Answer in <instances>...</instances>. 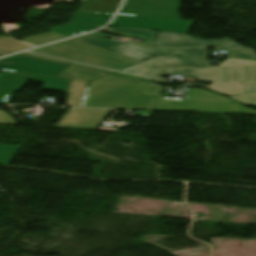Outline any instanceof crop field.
<instances>
[{
    "mask_svg": "<svg viewBox=\"0 0 256 256\" xmlns=\"http://www.w3.org/2000/svg\"><path fill=\"white\" fill-rule=\"evenodd\" d=\"M145 82L106 76L89 84L82 107L151 110L158 97L138 95Z\"/></svg>",
    "mask_w": 256,
    "mask_h": 256,
    "instance_id": "8a807250",
    "label": "crop field"
},
{
    "mask_svg": "<svg viewBox=\"0 0 256 256\" xmlns=\"http://www.w3.org/2000/svg\"><path fill=\"white\" fill-rule=\"evenodd\" d=\"M31 52L115 70L140 62L74 39Z\"/></svg>",
    "mask_w": 256,
    "mask_h": 256,
    "instance_id": "ac0d7876",
    "label": "crop field"
},
{
    "mask_svg": "<svg viewBox=\"0 0 256 256\" xmlns=\"http://www.w3.org/2000/svg\"><path fill=\"white\" fill-rule=\"evenodd\" d=\"M153 110L256 114L227 97L194 88L186 100L159 97Z\"/></svg>",
    "mask_w": 256,
    "mask_h": 256,
    "instance_id": "34b2d1b8",
    "label": "crop field"
},
{
    "mask_svg": "<svg viewBox=\"0 0 256 256\" xmlns=\"http://www.w3.org/2000/svg\"><path fill=\"white\" fill-rule=\"evenodd\" d=\"M220 46L227 49L225 58L256 60L253 50L240 46L228 38L201 40L182 33L157 31L155 47Z\"/></svg>",
    "mask_w": 256,
    "mask_h": 256,
    "instance_id": "412701ff",
    "label": "crop field"
},
{
    "mask_svg": "<svg viewBox=\"0 0 256 256\" xmlns=\"http://www.w3.org/2000/svg\"><path fill=\"white\" fill-rule=\"evenodd\" d=\"M28 80L44 82L42 89L64 92H68L71 81V79L2 71L0 74V103H9L14 92H20Z\"/></svg>",
    "mask_w": 256,
    "mask_h": 256,
    "instance_id": "f4fd0767",
    "label": "crop field"
},
{
    "mask_svg": "<svg viewBox=\"0 0 256 256\" xmlns=\"http://www.w3.org/2000/svg\"><path fill=\"white\" fill-rule=\"evenodd\" d=\"M193 21L118 14L111 26L188 33Z\"/></svg>",
    "mask_w": 256,
    "mask_h": 256,
    "instance_id": "dd49c442",
    "label": "crop field"
},
{
    "mask_svg": "<svg viewBox=\"0 0 256 256\" xmlns=\"http://www.w3.org/2000/svg\"><path fill=\"white\" fill-rule=\"evenodd\" d=\"M68 66L25 56L0 60V70L58 77Z\"/></svg>",
    "mask_w": 256,
    "mask_h": 256,
    "instance_id": "e52e79f7",
    "label": "crop field"
},
{
    "mask_svg": "<svg viewBox=\"0 0 256 256\" xmlns=\"http://www.w3.org/2000/svg\"><path fill=\"white\" fill-rule=\"evenodd\" d=\"M181 0H127L120 13L181 19Z\"/></svg>",
    "mask_w": 256,
    "mask_h": 256,
    "instance_id": "d8731c3e",
    "label": "crop field"
},
{
    "mask_svg": "<svg viewBox=\"0 0 256 256\" xmlns=\"http://www.w3.org/2000/svg\"><path fill=\"white\" fill-rule=\"evenodd\" d=\"M111 110L69 108L55 127L95 130Z\"/></svg>",
    "mask_w": 256,
    "mask_h": 256,
    "instance_id": "5a996713",
    "label": "crop field"
},
{
    "mask_svg": "<svg viewBox=\"0 0 256 256\" xmlns=\"http://www.w3.org/2000/svg\"><path fill=\"white\" fill-rule=\"evenodd\" d=\"M207 48H191V49H148L142 48L131 42H126L113 52L137 59L144 60L150 56H193V57H207Z\"/></svg>",
    "mask_w": 256,
    "mask_h": 256,
    "instance_id": "3316defc",
    "label": "crop field"
},
{
    "mask_svg": "<svg viewBox=\"0 0 256 256\" xmlns=\"http://www.w3.org/2000/svg\"><path fill=\"white\" fill-rule=\"evenodd\" d=\"M203 86L196 84H185V86ZM212 91L235 98V100L245 105H256V85H236L212 83L210 86H203Z\"/></svg>",
    "mask_w": 256,
    "mask_h": 256,
    "instance_id": "28ad6ade",
    "label": "crop field"
},
{
    "mask_svg": "<svg viewBox=\"0 0 256 256\" xmlns=\"http://www.w3.org/2000/svg\"><path fill=\"white\" fill-rule=\"evenodd\" d=\"M178 57H151L143 62L128 67L122 72L140 75L145 69L180 68Z\"/></svg>",
    "mask_w": 256,
    "mask_h": 256,
    "instance_id": "d1516ede",
    "label": "crop field"
},
{
    "mask_svg": "<svg viewBox=\"0 0 256 256\" xmlns=\"http://www.w3.org/2000/svg\"><path fill=\"white\" fill-rule=\"evenodd\" d=\"M111 17V14L74 11L69 23L104 25Z\"/></svg>",
    "mask_w": 256,
    "mask_h": 256,
    "instance_id": "22f410ed",
    "label": "crop field"
},
{
    "mask_svg": "<svg viewBox=\"0 0 256 256\" xmlns=\"http://www.w3.org/2000/svg\"><path fill=\"white\" fill-rule=\"evenodd\" d=\"M121 0H86L79 10L115 13Z\"/></svg>",
    "mask_w": 256,
    "mask_h": 256,
    "instance_id": "cbeb9de0",
    "label": "crop field"
},
{
    "mask_svg": "<svg viewBox=\"0 0 256 256\" xmlns=\"http://www.w3.org/2000/svg\"><path fill=\"white\" fill-rule=\"evenodd\" d=\"M104 31H107L113 34L131 35V36L143 38L145 39L143 42V45L154 47L156 31L114 28V27H108Z\"/></svg>",
    "mask_w": 256,
    "mask_h": 256,
    "instance_id": "5142ce71",
    "label": "crop field"
},
{
    "mask_svg": "<svg viewBox=\"0 0 256 256\" xmlns=\"http://www.w3.org/2000/svg\"><path fill=\"white\" fill-rule=\"evenodd\" d=\"M88 82L89 81L72 79L65 105L81 106Z\"/></svg>",
    "mask_w": 256,
    "mask_h": 256,
    "instance_id": "d9b57169",
    "label": "crop field"
},
{
    "mask_svg": "<svg viewBox=\"0 0 256 256\" xmlns=\"http://www.w3.org/2000/svg\"><path fill=\"white\" fill-rule=\"evenodd\" d=\"M107 37H109V36L101 34L99 32H96V33H93V34L85 35V36L74 38V39H78V40H81V41H84L86 43L102 47V48L110 50V51L116 49L117 47H119L120 45L125 43L123 41H121L119 43L108 41V40L105 39Z\"/></svg>",
    "mask_w": 256,
    "mask_h": 256,
    "instance_id": "733c2abd",
    "label": "crop field"
},
{
    "mask_svg": "<svg viewBox=\"0 0 256 256\" xmlns=\"http://www.w3.org/2000/svg\"><path fill=\"white\" fill-rule=\"evenodd\" d=\"M104 73L69 66L59 77L93 80Z\"/></svg>",
    "mask_w": 256,
    "mask_h": 256,
    "instance_id": "4a817a6b",
    "label": "crop field"
},
{
    "mask_svg": "<svg viewBox=\"0 0 256 256\" xmlns=\"http://www.w3.org/2000/svg\"><path fill=\"white\" fill-rule=\"evenodd\" d=\"M98 27L100 26L68 24L64 26H56L50 29L49 31L57 32L64 36L70 37L80 33L94 30Z\"/></svg>",
    "mask_w": 256,
    "mask_h": 256,
    "instance_id": "bc2a9ffb",
    "label": "crop field"
},
{
    "mask_svg": "<svg viewBox=\"0 0 256 256\" xmlns=\"http://www.w3.org/2000/svg\"><path fill=\"white\" fill-rule=\"evenodd\" d=\"M199 80L226 82L224 68L197 69Z\"/></svg>",
    "mask_w": 256,
    "mask_h": 256,
    "instance_id": "214f88e0",
    "label": "crop field"
},
{
    "mask_svg": "<svg viewBox=\"0 0 256 256\" xmlns=\"http://www.w3.org/2000/svg\"><path fill=\"white\" fill-rule=\"evenodd\" d=\"M227 82L248 83L247 68H225Z\"/></svg>",
    "mask_w": 256,
    "mask_h": 256,
    "instance_id": "92a150f3",
    "label": "crop field"
},
{
    "mask_svg": "<svg viewBox=\"0 0 256 256\" xmlns=\"http://www.w3.org/2000/svg\"><path fill=\"white\" fill-rule=\"evenodd\" d=\"M65 38L64 36H61L56 33L48 32L40 35H35L27 38L20 39L21 41L27 42L29 44L38 46L56 39Z\"/></svg>",
    "mask_w": 256,
    "mask_h": 256,
    "instance_id": "dafd665d",
    "label": "crop field"
},
{
    "mask_svg": "<svg viewBox=\"0 0 256 256\" xmlns=\"http://www.w3.org/2000/svg\"><path fill=\"white\" fill-rule=\"evenodd\" d=\"M22 146L0 145V164L8 165Z\"/></svg>",
    "mask_w": 256,
    "mask_h": 256,
    "instance_id": "00972430",
    "label": "crop field"
},
{
    "mask_svg": "<svg viewBox=\"0 0 256 256\" xmlns=\"http://www.w3.org/2000/svg\"><path fill=\"white\" fill-rule=\"evenodd\" d=\"M182 67L209 66L207 58L179 57Z\"/></svg>",
    "mask_w": 256,
    "mask_h": 256,
    "instance_id": "a9b5d70f",
    "label": "crop field"
},
{
    "mask_svg": "<svg viewBox=\"0 0 256 256\" xmlns=\"http://www.w3.org/2000/svg\"><path fill=\"white\" fill-rule=\"evenodd\" d=\"M252 66H256V61L226 59L219 66H216V67H252Z\"/></svg>",
    "mask_w": 256,
    "mask_h": 256,
    "instance_id": "4177f3b9",
    "label": "crop field"
},
{
    "mask_svg": "<svg viewBox=\"0 0 256 256\" xmlns=\"http://www.w3.org/2000/svg\"><path fill=\"white\" fill-rule=\"evenodd\" d=\"M143 75L147 77L161 78V76L180 75L179 70L146 71Z\"/></svg>",
    "mask_w": 256,
    "mask_h": 256,
    "instance_id": "730fd06b",
    "label": "crop field"
},
{
    "mask_svg": "<svg viewBox=\"0 0 256 256\" xmlns=\"http://www.w3.org/2000/svg\"><path fill=\"white\" fill-rule=\"evenodd\" d=\"M162 89L163 88L161 87H158L151 83H147V85L144 87L140 94L158 96Z\"/></svg>",
    "mask_w": 256,
    "mask_h": 256,
    "instance_id": "eef30255",
    "label": "crop field"
},
{
    "mask_svg": "<svg viewBox=\"0 0 256 256\" xmlns=\"http://www.w3.org/2000/svg\"><path fill=\"white\" fill-rule=\"evenodd\" d=\"M21 55H26V56L40 58V59H44V60H49V61L59 62V63H63V64H68V65H73V66H78V67H83V68H88V69H93V70H98V71H103V72L111 73V71H106V70H102V69H97V68L87 67V66H83V65L68 63V62H64V61L49 59V58H45V57H40V56L28 54V53H24V54H21Z\"/></svg>",
    "mask_w": 256,
    "mask_h": 256,
    "instance_id": "ae1a2a85",
    "label": "crop field"
},
{
    "mask_svg": "<svg viewBox=\"0 0 256 256\" xmlns=\"http://www.w3.org/2000/svg\"><path fill=\"white\" fill-rule=\"evenodd\" d=\"M0 124L15 125V121H14L13 117L0 111Z\"/></svg>",
    "mask_w": 256,
    "mask_h": 256,
    "instance_id": "d3111659",
    "label": "crop field"
},
{
    "mask_svg": "<svg viewBox=\"0 0 256 256\" xmlns=\"http://www.w3.org/2000/svg\"><path fill=\"white\" fill-rule=\"evenodd\" d=\"M249 83H256V67L248 68Z\"/></svg>",
    "mask_w": 256,
    "mask_h": 256,
    "instance_id": "750c4746",
    "label": "crop field"
},
{
    "mask_svg": "<svg viewBox=\"0 0 256 256\" xmlns=\"http://www.w3.org/2000/svg\"><path fill=\"white\" fill-rule=\"evenodd\" d=\"M182 72L186 78H195L194 70H182Z\"/></svg>",
    "mask_w": 256,
    "mask_h": 256,
    "instance_id": "bd1437ed",
    "label": "crop field"
},
{
    "mask_svg": "<svg viewBox=\"0 0 256 256\" xmlns=\"http://www.w3.org/2000/svg\"><path fill=\"white\" fill-rule=\"evenodd\" d=\"M114 74H118V75H121V76L132 77V78H136V79L148 81L147 78H143V77H138V76H133V75H127V74H122V73H118V72H115Z\"/></svg>",
    "mask_w": 256,
    "mask_h": 256,
    "instance_id": "1d83c4d3",
    "label": "crop field"
},
{
    "mask_svg": "<svg viewBox=\"0 0 256 256\" xmlns=\"http://www.w3.org/2000/svg\"><path fill=\"white\" fill-rule=\"evenodd\" d=\"M5 54H7V53L0 52V56L5 55Z\"/></svg>",
    "mask_w": 256,
    "mask_h": 256,
    "instance_id": "120bbe31",
    "label": "crop field"
}]
</instances>
